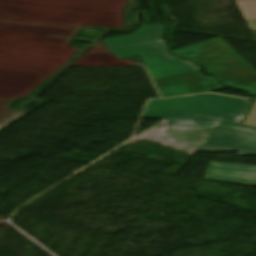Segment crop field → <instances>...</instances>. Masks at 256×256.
<instances>
[{
    "instance_id": "obj_1",
    "label": "crop field",
    "mask_w": 256,
    "mask_h": 256,
    "mask_svg": "<svg viewBox=\"0 0 256 256\" xmlns=\"http://www.w3.org/2000/svg\"><path fill=\"white\" fill-rule=\"evenodd\" d=\"M252 103L214 94L150 100L143 118H168L174 126L217 128L222 121L241 124Z\"/></svg>"
},
{
    "instance_id": "obj_2",
    "label": "crop field",
    "mask_w": 256,
    "mask_h": 256,
    "mask_svg": "<svg viewBox=\"0 0 256 256\" xmlns=\"http://www.w3.org/2000/svg\"><path fill=\"white\" fill-rule=\"evenodd\" d=\"M162 32V25H141L132 35L104 42L118 58L141 55L153 79L200 71L194 64L166 54V46L160 39Z\"/></svg>"
},
{
    "instance_id": "obj_3",
    "label": "crop field",
    "mask_w": 256,
    "mask_h": 256,
    "mask_svg": "<svg viewBox=\"0 0 256 256\" xmlns=\"http://www.w3.org/2000/svg\"><path fill=\"white\" fill-rule=\"evenodd\" d=\"M199 151H239L240 156L256 155V129L222 122Z\"/></svg>"
},
{
    "instance_id": "obj_4",
    "label": "crop field",
    "mask_w": 256,
    "mask_h": 256,
    "mask_svg": "<svg viewBox=\"0 0 256 256\" xmlns=\"http://www.w3.org/2000/svg\"><path fill=\"white\" fill-rule=\"evenodd\" d=\"M154 82L162 97L225 89L213 77H205L201 72L155 79Z\"/></svg>"
},
{
    "instance_id": "obj_5",
    "label": "crop field",
    "mask_w": 256,
    "mask_h": 256,
    "mask_svg": "<svg viewBox=\"0 0 256 256\" xmlns=\"http://www.w3.org/2000/svg\"><path fill=\"white\" fill-rule=\"evenodd\" d=\"M203 179L256 185V166L210 161Z\"/></svg>"
}]
</instances>
